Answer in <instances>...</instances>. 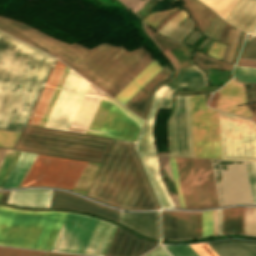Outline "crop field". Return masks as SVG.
I'll return each mask as SVG.
<instances>
[{
  "instance_id": "36",
  "label": "crop field",
  "mask_w": 256,
  "mask_h": 256,
  "mask_svg": "<svg viewBox=\"0 0 256 256\" xmlns=\"http://www.w3.org/2000/svg\"><path fill=\"white\" fill-rule=\"evenodd\" d=\"M244 234L256 235V208L243 207Z\"/></svg>"
},
{
  "instance_id": "2",
  "label": "crop field",
  "mask_w": 256,
  "mask_h": 256,
  "mask_svg": "<svg viewBox=\"0 0 256 256\" xmlns=\"http://www.w3.org/2000/svg\"><path fill=\"white\" fill-rule=\"evenodd\" d=\"M0 30L60 59L105 92L147 52L140 47L129 53L122 46L105 43L89 50L3 17Z\"/></svg>"
},
{
  "instance_id": "1",
  "label": "crop field",
  "mask_w": 256,
  "mask_h": 256,
  "mask_svg": "<svg viewBox=\"0 0 256 256\" xmlns=\"http://www.w3.org/2000/svg\"><path fill=\"white\" fill-rule=\"evenodd\" d=\"M54 58L0 32V129L20 133Z\"/></svg>"
},
{
  "instance_id": "10",
  "label": "crop field",
  "mask_w": 256,
  "mask_h": 256,
  "mask_svg": "<svg viewBox=\"0 0 256 256\" xmlns=\"http://www.w3.org/2000/svg\"><path fill=\"white\" fill-rule=\"evenodd\" d=\"M194 157L221 159L217 111L204 95L190 96Z\"/></svg>"
},
{
  "instance_id": "62",
  "label": "crop field",
  "mask_w": 256,
  "mask_h": 256,
  "mask_svg": "<svg viewBox=\"0 0 256 256\" xmlns=\"http://www.w3.org/2000/svg\"><path fill=\"white\" fill-rule=\"evenodd\" d=\"M228 50H229V46L226 47V50H225V53H224V56H223V60H225V61H226V58H227Z\"/></svg>"
},
{
  "instance_id": "58",
  "label": "crop field",
  "mask_w": 256,
  "mask_h": 256,
  "mask_svg": "<svg viewBox=\"0 0 256 256\" xmlns=\"http://www.w3.org/2000/svg\"><path fill=\"white\" fill-rule=\"evenodd\" d=\"M217 234L216 210H213V235Z\"/></svg>"
},
{
  "instance_id": "65",
  "label": "crop field",
  "mask_w": 256,
  "mask_h": 256,
  "mask_svg": "<svg viewBox=\"0 0 256 256\" xmlns=\"http://www.w3.org/2000/svg\"><path fill=\"white\" fill-rule=\"evenodd\" d=\"M0 194H1V192H0Z\"/></svg>"
},
{
  "instance_id": "41",
  "label": "crop field",
  "mask_w": 256,
  "mask_h": 256,
  "mask_svg": "<svg viewBox=\"0 0 256 256\" xmlns=\"http://www.w3.org/2000/svg\"><path fill=\"white\" fill-rule=\"evenodd\" d=\"M43 252L0 247V256H42Z\"/></svg>"
},
{
  "instance_id": "34",
  "label": "crop field",
  "mask_w": 256,
  "mask_h": 256,
  "mask_svg": "<svg viewBox=\"0 0 256 256\" xmlns=\"http://www.w3.org/2000/svg\"><path fill=\"white\" fill-rule=\"evenodd\" d=\"M19 154V151L8 149L0 164V187H2Z\"/></svg>"
},
{
  "instance_id": "14",
  "label": "crop field",
  "mask_w": 256,
  "mask_h": 256,
  "mask_svg": "<svg viewBox=\"0 0 256 256\" xmlns=\"http://www.w3.org/2000/svg\"><path fill=\"white\" fill-rule=\"evenodd\" d=\"M51 208H66L107 217L113 221L118 220L119 211L111 210L92 201L80 198L71 193L54 190Z\"/></svg>"
},
{
  "instance_id": "52",
  "label": "crop field",
  "mask_w": 256,
  "mask_h": 256,
  "mask_svg": "<svg viewBox=\"0 0 256 256\" xmlns=\"http://www.w3.org/2000/svg\"><path fill=\"white\" fill-rule=\"evenodd\" d=\"M146 256H171L162 246L147 254Z\"/></svg>"
},
{
  "instance_id": "7",
  "label": "crop field",
  "mask_w": 256,
  "mask_h": 256,
  "mask_svg": "<svg viewBox=\"0 0 256 256\" xmlns=\"http://www.w3.org/2000/svg\"><path fill=\"white\" fill-rule=\"evenodd\" d=\"M142 120L102 94L85 133L136 141Z\"/></svg>"
},
{
  "instance_id": "35",
  "label": "crop field",
  "mask_w": 256,
  "mask_h": 256,
  "mask_svg": "<svg viewBox=\"0 0 256 256\" xmlns=\"http://www.w3.org/2000/svg\"><path fill=\"white\" fill-rule=\"evenodd\" d=\"M163 239H176L175 211H162Z\"/></svg>"
},
{
  "instance_id": "53",
  "label": "crop field",
  "mask_w": 256,
  "mask_h": 256,
  "mask_svg": "<svg viewBox=\"0 0 256 256\" xmlns=\"http://www.w3.org/2000/svg\"><path fill=\"white\" fill-rule=\"evenodd\" d=\"M246 58L256 59V38L254 39L253 44H252Z\"/></svg>"
},
{
  "instance_id": "32",
  "label": "crop field",
  "mask_w": 256,
  "mask_h": 256,
  "mask_svg": "<svg viewBox=\"0 0 256 256\" xmlns=\"http://www.w3.org/2000/svg\"><path fill=\"white\" fill-rule=\"evenodd\" d=\"M100 165L87 162L74 191L86 194L92 180L94 179Z\"/></svg>"
},
{
  "instance_id": "23",
  "label": "crop field",
  "mask_w": 256,
  "mask_h": 256,
  "mask_svg": "<svg viewBox=\"0 0 256 256\" xmlns=\"http://www.w3.org/2000/svg\"><path fill=\"white\" fill-rule=\"evenodd\" d=\"M225 19L251 32L256 27V0H240Z\"/></svg>"
},
{
  "instance_id": "19",
  "label": "crop field",
  "mask_w": 256,
  "mask_h": 256,
  "mask_svg": "<svg viewBox=\"0 0 256 256\" xmlns=\"http://www.w3.org/2000/svg\"><path fill=\"white\" fill-rule=\"evenodd\" d=\"M118 222L129 227L130 229L136 231L139 234L159 240L158 212L128 213L120 211Z\"/></svg>"
},
{
  "instance_id": "51",
  "label": "crop field",
  "mask_w": 256,
  "mask_h": 256,
  "mask_svg": "<svg viewBox=\"0 0 256 256\" xmlns=\"http://www.w3.org/2000/svg\"><path fill=\"white\" fill-rule=\"evenodd\" d=\"M239 33H240V31L236 29L235 33H234L232 43H231V47H230V50H229L228 58H227L228 62H232L234 52H235V49H236V45H237V41H238V37H239Z\"/></svg>"
},
{
  "instance_id": "31",
  "label": "crop field",
  "mask_w": 256,
  "mask_h": 256,
  "mask_svg": "<svg viewBox=\"0 0 256 256\" xmlns=\"http://www.w3.org/2000/svg\"><path fill=\"white\" fill-rule=\"evenodd\" d=\"M150 53H146L127 73H125L106 93L113 98L135 78L151 61Z\"/></svg>"
},
{
  "instance_id": "33",
  "label": "crop field",
  "mask_w": 256,
  "mask_h": 256,
  "mask_svg": "<svg viewBox=\"0 0 256 256\" xmlns=\"http://www.w3.org/2000/svg\"><path fill=\"white\" fill-rule=\"evenodd\" d=\"M193 60L195 61V63L198 65L199 68L205 71L207 68H218V69H227V70L233 69L232 65L222 61L215 60L197 51H195L193 54Z\"/></svg>"
},
{
  "instance_id": "6",
  "label": "crop field",
  "mask_w": 256,
  "mask_h": 256,
  "mask_svg": "<svg viewBox=\"0 0 256 256\" xmlns=\"http://www.w3.org/2000/svg\"><path fill=\"white\" fill-rule=\"evenodd\" d=\"M116 227L88 215L69 212L51 251L104 256Z\"/></svg>"
},
{
  "instance_id": "56",
  "label": "crop field",
  "mask_w": 256,
  "mask_h": 256,
  "mask_svg": "<svg viewBox=\"0 0 256 256\" xmlns=\"http://www.w3.org/2000/svg\"><path fill=\"white\" fill-rule=\"evenodd\" d=\"M218 93L214 92L210 98V101L208 103V106L210 107H215V104H216V101H217V98H218Z\"/></svg>"
},
{
  "instance_id": "9",
  "label": "crop field",
  "mask_w": 256,
  "mask_h": 256,
  "mask_svg": "<svg viewBox=\"0 0 256 256\" xmlns=\"http://www.w3.org/2000/svg\"><path fill=\"white\" fill-rule=\"evenodd\" d=\"M86 162L37 154L22 186L49 185L73 190Z\"/></svg>"
},
{
  "instance_id": "24",
  "label": "crop field",
  "mask_w": 256,
  "mask_h": 256,
  "mask_svg": "<svg viewBox=\"0 0 256 256\" xmlns=\"http://www.w3.org/2000/svg\"><path fill=\"white\" fill-rule=\"evenodd\" d=\"M52 190L11 191L9 203L25 207H49Z\"/></svg>"
},
{
  "instance_id": "25",
  "label": "crop field",
  "mask_w": 256,
  "mask_h": 256,
  "mask_svg": "<svg viewBox=\"0 0 256 256\" xmlns=\"http://www.w3.org/2000/svg\"><path fill=\"white\" fill-rule=\"evenodd\" d=\"M208 244L220 256H256V242L230 239Z\"/></svg>"
},
{
  "instance_id": "66",
  "label": "crop field",
  "mask_w": 256,
  "mask_h": 256,
  "mask_svg": "<svg viewBox=\"0 0 256 256\" xmlns=\"http://www.w3.org/2000/svg\"><path fill=\"white\" fill-rule=\"evenodd\" d=\"M159 1H161V0H159Z\"/></svg>"
},
{
  "instance_id": "46",
  "label": "crop field",
  "mask_w": 256,
  "mask_h": 256,
  "mask_svg": "<svg viewBox=\"0 0 256 256\" xmlns=\"http://www.w3.org/2000/svg\"><path fill=\"white\" fill-rule=\"evenodd\" d=\"M176 8L177 7L164 12L151 13L147 17H145L144 21H146L149 26L154 28L167 14H169L172 10Z\"/></svg>"
},
{
  "instance_id": "42",
  "label": "crop field",
  "mask_w": 256,
  "mask_h": 256,
  "mask_svg": "<svg viewBox=\"0 0 256 256\" xmlns=\"http://www.w3.org/2000/svg\"><path fill=\"white\" fill-rule=\"evenodd\" d=\"M165 247L173 256H198L189 245H168Z\"/></svg>"
},
{
  "instance_id": "13",
  "label": "crop field",
  "mask_w": 256,
  "mask_h": 256,
  "mask_svg": "<svg viewBox=\"0 0 256 256\" xmlns=\"http://www.w3.org/2000/svg\"><path fill=\"white\" fill-rule=\"evenodd\" d=\"M169 156L193 157L189 96H176L168 123Z\"/></svg>"
},
{
  "instance_id": "16",
  "label": "crop field",
  "mask_w": 256,
  "mask_h": 256,
  "mask_svg": "<svg viewBox=\"0 0 256 256\" xmlns=\"http://www.w3.org/2000/svg\"><path fill=\"white\" fill-rule=\"evenodd\" d=\"M216 92L221 93V95L215 108L244 117L253 116L245 105L235 107V105L247 103L244 84H240L232 79L225 87Z\"/></svg>"
},
{
  "instance_id": "3",
  "label": "crop field",
  "mask_w": 256,
  "mask_h": 256,
  "mask_svg": "<svg viewBox=\"0 0 256 256\" xmlns=\"http://www.w3.org/2000/svg\"><path fill=\"white\" fill-rule=\"evenodd\" d=\"M123 209L159 208L133 143L116 140L88 194Z\"/></svg>"
},
{
  "instance_id": "38",
  "label": "crop field",
  "mask_w": 256,
  "mask_h": 256,
  "mask_svg": "<svg viewBox=\"0 0 256 256\" xmlns=\"http://www.w3.org/2000/svg\"><path fill=\"white\" fill-rule=\"evenodd\" d=\"M234 76L240 82L256 83V69L237 66L234 70Z\"/></svg>"
},
{
  "instance_id": "27",
  "label": "crop field",
  "mask_w": 256,
  "mask_h": 256,
  "mask_svg": "<svg viewBox=\"0 0 256 256\" xmlns=\"http://www.w3.org/2000/svg\"><path fill=\"white\" fill-rule=\"evenodd\" d=\"M36 154L21 152L3 187L21 186Z\"/></svg>"
},
{
  "instance_id": "20",
  "label": "crop field",
  "mask_w": 256,
  "mask_h": 256,
  "mask_svg": "<svg viewBox=\"0 0 256 256\" xmlns=\"http://www.w3.org/2000/svg\"><path fill=\"white\" fill-rule=\"evenodd\" d=\"M192 161L203 208L219 205L209 160Z\"/></svg>"
},
{
  "instance_id": "22",
  "label": "crop field",
  "mask_w": 256,
  "mask_h": 256,
  "mask_svg": "<svg viewBox=\"0 0 256 256\" xmlns=\"http://www.w3.org/2000/svg\"><path fill=\"white\" fill-rule=\"evenodd\" d=\"M64 67L65 65H63L58 60L56 61L47 79V82L40 94L39 100L33 110V113L30 117L28 124L36 126L39 125Z\"/></svg>"
},
{
  "instance_id": "59",
  "label": "crop field",
  "mask_w": 256,
  "mask_h": 256,
  "mask_svg": "<svg viewBox=\"0 0 256 256\" xmlns=\"http://www.w3.org/2000/svg\"><path fill=\"white\" fill-rule=\"evenodd\" d=\"M9 194H10V191L2 192L0 201H1V202L8 203Z\"/></svg>"
},
{
  "instance_id": "30",
  "label": "crop field",
  "mask_w": 256,
  "mask_h": 256,
  "mask_svg": "<svg viewBox=\"0 0 256 256\" xmlns=\"http://www.w3.org/2000/svg\"><path fill=\"white\" fill-rule=\"evenodd\" d=\"M177 239L197 237L196 212L176 211Z\"/></svg>"
},
{
  "instance_id": "43",
  "label": "crop field",
  "mask_w": 256,
  "mask_h": 256,
  "mask_svg": "<svg viewBox=\"0 0 256 256\" xmlns=\"http://www.w3.org/2000/svg\"><path fill=\"white\" fill-rule=\"evenodd\" d=\"M19 134L0 130V146L12 148Z\"/></svg>"
},
{
  "instance_id": "49",
  "label": "crop field",
  "mask_w": 256,
  "mask_h": 256,
  "mask_svg": "<svg viewBox=\"0 0 256 256\" xmlns=\"http://www.w3.org/2000/svg\"><path fill=\"white\" fill-rule=\"evenodd\" d=\"M170 166H171V175H172V177H173V179L175 181V185H176V189H177L180 205H181V207L184 208L174 158H170Z\"/></svg>"
},
{
  "instance_id": "8",
  "label": "crop field",
  "mask_w": 256,
  "mask_h": 256,
  "mask_svg": "<svg viewBox=\"0 0 256 256\" xmlns=\"http://www.w3.org/2000/svg\"><path fill=\"white\" fill-rule=\"evenodd\" d=\"M222 159L256 160V124L219 112Z\"/></svg>"
},
{
  "instance_id": "21",
  "label": "crop field",
  "mask_w": 256,
  "mask_h": 256,
  "mask_svg": "<svg viewBox=\"0 0 256 256\" xmlns=\"http://www.w3.org/2000/svg\"><path fill=\"white\" fill-rule=\"evenodd\" d=\"M102 92L89 84L69 131L84 133Z\"/></svg>"
},
{
  "instance_id": "64",
  "label": "crop field",
  "mask_w": 256,
  "mask_h": 256,
  "mask_svg": "<svg viewBox=\"0 0 256 256\" xmlns=\"http://www.w3.org/2000/svg\"><path fill=\"white\" fill-rule=\"evenodd\" d=\"M252 34L256 35V30Z\"/></svg>"
},
{
  "instance_id": "18",
  "label": "crop field",
  "mask_w": 256,
  "mask_h": 256,
  "mask_svg": "<svg viewBox=\"0 0 256 256\" xmlns=\"http://www.w3.org/2000/svg\"><path fill=\"white\" fill-rule=\"evenodd\" d=\"M172 71L166 65L142 87L124 106L143 120L150 108L152 92L163 81L169 78Z\"/></svg>"
},
{
  "instance_id": "28",
  "label": "crop field",
  "mask_w": 256,
  "mask_h": 256,
  "mask_svg": "<svg viewBox=\"0 0 256 256\" xmlns=\"http://www.w3.org/2000/svg\"><path fill=\"white\" fill-rule=\"evenodd\" d=\"M182 1L185 2L183 6H185L188 9L192 18L198 23L196 28L204 32L216 14L204 5H202L203 3L201 4L197 0Z\"/></svg>"
},
{
  "instance_id": "29",
  "label": "crop field",
  "mask_w": 256,
  "mask_h": 256,
  "mask_svg": "<svg viewBox=\"0 0 256 256\" xmlns=\"http://www.w3.org/2000/svg\"><path fill=\"white\" fill-rule=\"evenodd\" d=\"M243 234L242 207L222 209V234Z\"/></svg>"
},
{
  "instance_id": "54",
  "label": "crop field",
  "mask_w": 256,
  "mask_h": 256,
  "mask_svg": "<svg viewBox=\"0 0 256 256\" xmlns=\"http://www.w3.org/2000/svg\"><path fill=\"white\" fill-rule=\"evenodd\" d=\"M238 64L256 67V61L255 60H247V59L240 58Z\"/></svg>"
},
{
  "instance_id": "63",
  "label": "crop field",
  "mask_w": 256,
  "mask_h": 256,
  "mask_svg": "<svg viewBox=\"0 0 256 256\" xmlns=\"http://www.w3.org/2000/svg\"><path fill=\"white\" fill-rule=\"evenodd\" d=\"M251 120L256 122V115Z\"/></svg>"
},
{
  "instance_id": "12",
  "label": "crop field",
  "mask_w": 256,
  "mask_h": 256,
  "mask_svg": "<svg viewBox=\"0 0 256 256\" xmlns=\"http://www.w3.org/2000/svg\"><path fill=\"white\" fill-rule=\"evenodd\" d=\"M88 84L70 70L45 127L68 131Z\"/></svg>"
},
{
  "instance_id": "55",
  "label": "crop field",
  "mask_w": 256,
  "mask_h": 256,
  "mask_svg": "<svg viewBox=\"0 0 256 256\" xmlns=\"http://www.w3.org/2000/svg\"><path fill=\"white\" fill-rule=\"evenodd\" d=\"M198 237L202 236L201 212H197Z\"/></svg>"
},
{
  "instance_id": "11",
  "label": "crop field",
  "mask_w": 256,
  "mask_h": 256,
  "mask_svg": "<svg viewBox=\"0 0 256 256\" xmlns=\"http://www.w3.org/2000/svg\"><path fill=\"white\" fill-rule=\"evenodd\" d=\"M168 89V87L162 85L154 93L152 108L144 122L140 138L137 142V150L142 157L146 171L152 182V185L156 191L159 201L163 208H174L172 201L160 180L157 158L153 146L152 140V129L155 119L156 112L161 103L163 93Z\"/></svg>"
},
{
  "instance_id": "48",
  "label": "crop field",
  "mask_w": 256,
  "mask_h": 256,
  "mask_svg": "<svg viewBox=\"0 0 256 256\" xmlns=\"http://www.w3.org/2000/svg\"><path fill=\"white\" fill-rule=\"evenodd\" d=\"M199 256H219L207 243L190 245Z\"/></svg>"
},
{
  "instance_id": "61",
  "label": "crop field",
  "mask_w": 256,
  "mask_h": 256,
  "mask_svg": "<svg viewBox=\"0 0 256 256\" xmlns=\"http://www.w3.org/2000/svg\"><path fill=\"white\" fill-rule=\"evenodd\" d=\"M6 151H7V149H5V148H0V162H1L2 158L4 157Z\"/></svg>"
},
{
  "instance_id": "57",
  "label": "crop field",
  "mask_w": 256,
  "mask_h": 256,
  "mask_svg": "<svg viewBox=\"0 0 256 256\" xmlns=\"http://www.w3.org/2000/svg\"><path fill=\"white\" fill-rule=\"evenodd\" d=\"M218 234H221V209L217 210Z\"/></svg>"
},
{
  "instance_id": "50",
  "label": "crop field",
  "mask_w": 256,
  "mask_h": 256,
  "mask_svg": "<svg viewBox=\"0 0 256 256\" xmlns=\"http://www.w3.org/2000/svg\"><path fill=\"white\" fill-rule=\"evenodd\" d=\"M226 45H222L220 43L214 42L210 50L208 51L207 54H209L212 57H216L221 59L222 55L224 53Z\"/></svg>"
},
{
  "instance_id": "44",
  "label": "crop field",
  "mask_w": 256,
  "mask_h": 256,
  "mask_svg": "<svg viewBox=\"0 0 256 256\" xmlns=\"http://www.w3.org/2000/svg\"><path fill=\"white\" fill-rule=\"evenodd\" d=\"M189 17L178 27V29L169 37V38H173L179 31L180 29L189 21ZM192 23V21L190 20L183 28L182 30L173 38L174 40H176L183 32L184 30ZM194 23H192L186 30L185 32L177 39V41L182 42L183 39L187 36V34L193 29L194 27Z\"/></svg>"
},
{
  "instance_id": "17",
  "label": "crop field",
  "mask_w": 256,
  "mask_h": 256,
  "mask_svg": "<svg viewBox=\"0 0 256 256\" xmlns=\"http://www.w3.org/2000/svg\"><path fill=\"white\" fill-rule=\"evenodd\" d=\"M175 160L185 208H202L191 159Z\"/></svg>"
},
{
  "instance_id": "47",
  "label": "crop field",
  "mask_w": 256,
  "mask_h": 256,
  "mask_svg": "<svg viewBox=\"0 0 256 256\" xmlns=\"http://www.w3.org/2000/svg\"><path fill=\"white\" fill-rule=\"evenodd\" d=\"M203 236L212 235V210L202 212Z\"/></svg>"
},
{
  "instance_id": "39",
  "label": "crop field",
  "mask_w": 256,
  "mask_h": 256,
  "mask_svg": "<svg viewBox=\"0 0 256 256\" xmlns=\"http://www.w3.org/2000/svg\"><path fill=\"white\" fill-rule=\"evenodd\" d=\"M186 16V12L182 10L179 11L164 25V27L159 32L167 36H170L176 30V28L182 23Z\"/></svg>"
},
{
  "instance_id": "15",
  "label": "crop field",
  "mask_w": 256,
  "mask_h": 256,
  "mask_svg": "<svg viewBox=\"0 0 256 256\" xmlns=\"http://www.w3.org/2000/svg\"><path fill=\"white\" fill-rule=\"evenodd\" d=\"M157 245L117 228L105 256H140Z\"/></svg>"
},
{
  "instance_id": "37",
  "label": "crop field",
  "mask_w": 256,
  "mask_h": 256,
  "mask_svg": "<svg viewBox=\"0 0 256 256\" xmlns=\"http://www.w3.org/2000/svg\"><path fill=\"white\" fill-rule=\"evenodd\" d=\"M69 70H70V68L65 67V69H64V71L62 73V76H61V78H60V80L58 82V85H57V87H56V89L54 91V94H53V96L51 98V101H50V103H49V105L47 107V110H46V112H45V114L43 116V119H42V121H41L39 126H42V127L45 126V124H46V122L48 120V117H49V115L51 113V110H52V108H53V106L55 104V101H56V99H57V97L59 95V92H60V90H61V88L63 86V83H64V81L66 79V76H67Z\"/></svg>"
},
{
  "instance_id": "40",
  "label": "crop field",
  "mask_w": 256,
  "mask_h": 256,
  "mask_svg": "<svg viewBox=\"0 0 256 256\" xmlns=\"http://www.w3.org/2000/svg\"><path fill=\"white\" fill-rule=\"evenodd\" d=\"M253 204H256V162L245 161Z\"/></svg>"
},
{
  "instance_id": "26",
  "label": "crop field",
  "mask_w": 256,
  "mask_h": 256,
  "mask_svg": "<svg viewBox=\"0 0 256 256\" xmlns=\"http://www.w3.org/2000/svg\"><path fill=\"white\" fill-rule=\"evenodd\" d=\"M162 67L152 61L134 80H132L114 99L125 104Z\"/></svg>"
},
{
  "instance_id": "60",
  "label": "crop field",
  "mask_w": 256,
  "mask_h": 256,
  "mask_svg": "<svg viewBox=\"0 0 256 256\" xmlns=\"http://www.w3.org/2000/svg\"><path fill=\"white\" fill-rule=\"evenodd\" d=\"M44 256H76V255H67V254L45 252Z\"/></svg>"
},
{
  "instance_id": "5",
  "label": "crop field",
  "mask_w": 256,
  "mask_h": 256,
  "mask_svg": "<svg viewBox=\"0 0 256 256\" xmlns=\"http://www.w3.org/2000/svg\"><path fill=\"white\" fill-rule=\"evenodd\" d=\"M112 142L111 139L26 125L14 148L102 163Z\"/></svg>"
},
{
  "instance_id": "4",
  "label": "crop field",
  "mask_w": 256,
  "mask_h": 256,
  "mask_svg": "<svg viewBox=\"0 0 256 256\" xmlns=\"http://www.w3.org/2000/svg\"><path fill=\"white\" fill-rule=\"evenodd\" d=\"M67 213L0 205V245L50 251Z\"/></svg>"
},
{
  "instance_id": "45",
  "label": "crop field",
  "mask_w": 256,
  "mask_h": 256,
  "mask_svg": "<svg viewBox=\"0 0 256 256\" xmlns=\"http://www.w3.org/2000/svg\"><path fill=\"white\" fill-rule=\"evenodd\" d=\"M219 18H220V17H218V16L216 15V17L214 18V20L212 21V23L210 24V26L207 28V30L204 32V34H206V35L208 36V34L211 32V30L213 29V27L215 26V24H216L217 21L219 20ZM220 21H221V18H220V20L218 21V23L216 24V26L214 27V29L212 30V32L209 34V37H213V35H214V33H215V31H216V29H217V27H218ZM224 21H225V20H224ZM224 21L222 20V22H221V24H220V26H219V28H218V30H217L215 36H214V39H216L217 41H218V39H219V37H220V35H221V33H222V30H223V28H224V26H225V24H226V22H224Z\"/></svg>"
}]
</instances>
